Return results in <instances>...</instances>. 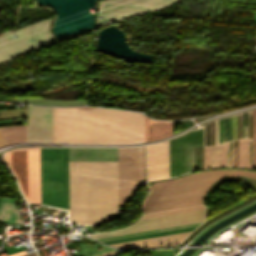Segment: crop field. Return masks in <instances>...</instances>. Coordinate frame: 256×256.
I'll return each instance as SVG.
<instances>
[{"mask_svg":"<svg viewBox=\"0 0 256 256\" xmlns=\"http://www.w3.org/2000/svg\"><path fill=\"white\" fill-rule=\"evenodd\" d=\"M42 204L68 209L67 148H41Z\"/></svg>","mask_w":256,"mask_h":256,"instance_id":"2","label":"crop field"},{"mask_svg":"<svg viewBox=\"0 0 256 256\" xmlns=\"http://www.w3.org/2000/svg\"><path fill=\"white\" fill-rule=\"evenodd\" d=\"M253 158L254 168H256V109L253 110Z\"/></svg>","mask_w":256,"mask_h":256,"instance_id":"17","label":"crop field"},{"mask_svg":"<svg viewBox=\"0 0 256 256\" xmlns=\"http://www.w3.org/2000/svg\"><path fill=\"white\" fill-rule=\"evenodd\" d=\"M26 140L27 125L0 128V146Z\"/></svg>","mask_w":256,"mask_h":256,"instance_id":"11","label":"crop field"},{"mask_svg":"<svg viewBox=\"0 0 256 256\" xmlns=\"http://www.w3.org/2000/svg\"><path fill=\"white\" fill-rule=\"evenodd\" d=\"M241 167L250 168V140L241 142Z\"/></svg>","mask_w":256,"mask_h":256,"instance_id":"15","label":"crop field"},{"mask_svg":"<svg viewBox=\"0 0 256 256\" xmlns=\"http://www.w3.org/2000/svg\"><path fill=\"white\" fill-rule=\"evenodd\" d=\"M148 180L169 177L168 140L147 146Z\"/></svg>","mask_w":256,"mask_h":256,"instance_id":"8","label":"crop field"},{"mask_svg":"<svg viewBox=\"0 0 256 256\" xmlns=\"http://www.w3.org/2000/svg\"><path fill=\"white\" fill-rule=\"evenodd\" d=\"M235 166H238V142H235Z\"/></svg>","mask_w":256,"mask_h":256,"instance_id":"18","label":"crop field"},{"mask_svg":"<svg viewBox=\"0 0 256 256\" xmlns=\"http://www.w3.org/2000/svg\"><path fill=\"white\" fill-rule=\"evenodd\" d=\"M236 175L256 178L255 172L218 170L153 183L149 186L150 192L143 203V212L148 213L201 204L203 195L216 180Z\"/></svg>","mask_w":256,"mask_h":256,"instance_id":"1","label":"crop field"},{"mask_svg":"<svg viewBox=\"0 0 256 256\" xmlns=\"http://www.w3.org/2000/svg\"><path fill=\"white\" fill-rule=\"evenodd\" d=\"M51 18L0 36V61L54 43L47 31ZM14 36L18 38L15 39ZM34 39L35 41H33ZM38 43H40L38 45Z\"/></svg>","mask_w":256,"mask_h":256,"instance_id":"4","label":"crop field"},{"mask_svg":"<svg viewBox=\"0 0 256 256\" xmlns=\"http://www.w3.org/2000/svg\"><path fill=\"white\" fill-rule=\"evenodd\" d=\"M204 168L229 166V143L203 148Z\"/></svg>","mask_w":256,"mask_h":256,"instance_id":"9","label":"crop field"},{"mask_svg":"<svg viewBox=\"0 0 256 256\" xmlns=\"http://www.w3.org/2000/svg\"><path fill=\"white\" fill-rule=\"evenodd\" d=\"M53 107L29 106V141L52 142Z\"/></svg>","mask_w":256,"mask_h":256,"instance_id":"7","label":"crop field"},{"mask_svg":"<svg viewBox=\"0 0 256 256\" xmlns=\"http://www.w3.org/2000/svg\"><path fill=\"white\" fill-rule=\"evenodd\" d=\"M1 199V198H0Z\"/></svg>","mask_w":256,"mask_h":256,"instance_id":"21","label":"crop field"},{"mask_svg":"<svg viewBox=\"0 0 256 256\" xmlns=\"http://www.w3.org/2000/svg\"><path fill=\"white\" fill-rule=\"evenodd\" d=\"M195 227H189V228H184V229H178V230H173V231H167V232H161V233H155V234H148V235H142V236H136V237H129V238H123V239L104 241L103 243L110 244V243H116V242H122V241H128V240H134V239H140V238H146V237H152V236H158V235H164V234H170V233L189 231V230H193Z\"/></svg>","mask_w":256,"mask_h":256,"instance_id":"13","label":"crop field"},{"mask_svg":"<svg viewBox=\"0 0 256 256\" xmlns=\"http://www.w3.org/2000/svg\"><path fill=\"white\" fill-rule=\"evenodd\" d=\"M5 163L12 169L27 201L40 204V148L6 152Z\"/></svg>","mask_w":256,"mask_h":256,"instance_id":"3","label":"crop field"},{"mask_svg":"<svg viewBox=\"0 0 256 256\" xmlns=\"http://www.w3.org/2000/svg\"><path fill=\"white\" fill-rule=\"evenodd\" d=\"M177 0H105L102 2L98 27L125 17L168 6ZM105 21V23L103 22Z\"/></svg>","mask_w":256,"mask_h":256,"instance_id":"6","label":"crop field"},{"mask_svg":"<svg viewBox=\"0 0 256 256\" xmlns=\"http://www.w3.org/2000/svg\"><path fill=\"white\" fill-rule=\"evenodd\" d=\"M172 134V122H161L145 117V141H151Z\"/></svg>","mask_w":256,"mask_h":256,"instance_id":"10","label":"crop field"},{"mask_svg":"<svg viewBox=\"0 0 256 256\" xmlns=\"http://www.w3.org/2000/svg\"><path fill=\"white\" fill-rule=\"evenodd\" d=\"M0 223H14L24 226L13 200L1 199Z\"/></svg>","mask_w":256,"mask_h":256,"instance_id":"12","label":"crop field"},{"mask_svg":"<svg viewBox=\"0 0 256 256\" xmlns=\"http://www.w3.org/2000/svg\"><path fill=\"white\" fill-rule=\"evenodd\" d=\"M202 208H204V207L203 206H198V207H192V208H186V209H179V210H173V211H167V212H160V213L143 215L142 218H148V217H154V216H160V215H166V214H172V213H178V212H184V211H190V210H196V209H202Z\"/></svg>","mask_w":256,"mask_h":256,"instance_id":"16","label":"crop field"},{"mask_svg":"<svg viewBox=\"0 0 256 256\" xmlns=\"http://www.w3.org/2000/svg\"><path fill=\"white\" fill-rule=\"evenodd\" d=\"M141 179H145L144 147L118 148L119 203H127Z\"/></svg>","mask_w":256,"mask_h":256,"instance_id":"5","label":"crop field"},{"mask_svg":"<svg viewBox=\"0 0 256 256\" xmlns=\"http://www.w3.org/2000/svg\"><path fill=\"white\" fill-rule=\"evenodd\" d=\"M117 250H114V251H108V252H101V254H96V255H92V256H101V255H108V254H113L115 253Z\"/></svg>","mask_w":256,"mask_h":256,"instance_id":"19","label":"crop field"},{"mask_svg":"<svg viewBox=\"0 0 256 256\" xmlns=\"http://www.w3.org/2000/svg\"><path fill=\"white\" fill-rule=\"evenodd\" d=\"M200 223H194V224H188V225H182V226H176V227H170V228H164V229H158V230H152V231H146V232L132 233V234H126V235L112 236V237H106V238H99L98 240L104 241V240H110V239H116V238H123V237H129V236H135V235H141V234H147V233H153V232H159V231H165V230H171V229H177V228H183V227H189V226H195Z\"/></svg>","mask_w":256,"mask_h":256,"instance_id":"14","label":"crop field"},{"mask_svg":"<svg viewBox=\"0 0 256 256\" xmlns=\"http://www.w3.org/2000/svg\"><path fill=\"white\" fill-rule=\"evenodd\" d=\"M23 256H37L36 253H30V254H27V255H23Z\"/></svg>","mask_w":256,"mask_h":256,"instance_id":"20","label":"crop field"}]
</instances>
